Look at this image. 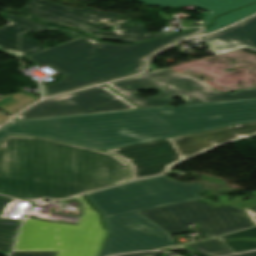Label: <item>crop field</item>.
<instances>
[{"label": "crop field", "instance_id": "7", "mask_svg": "<svg viewBox=\"0 0 256 256\" xmlns=\"http://www.w3.org/2000/svg\"><path fill=\"white\" fill-rule=\"evenodd\" d=\"M108 87L141 108L169 106L174 103L171 98L175 96L183 97L187 104L256 97V89L237 90L234 94L224 93L196 77L170 68L109 84ZM153 89H160L159 94L153 98L141 99L136 93Z\"/></svg>", "mask_w": 256, "mask_h": 256}, {"label": "crop field", "instance_id": "6", "mask_svg": "<svg viewBox=\"0 0 256 256\" xmlns=\"http://www.w3.org/2000/svg\"><path fill=\"white\" fill-rule=\"evenodd\" d=\"M72 199L81 201L85 205V211L78 225L27 218L21 227L13 251L59 250L56 256H98L106 237L99 215L83 196Z\"/></svg>", "mask_w": 256, "mask_h": 256}, {"label": "crop field", "instance_id": "11", "mask_svg": "<svg viewBox=\"0 0 256 256\" xmlns=\"http://www.w3.org/2000/svg\"><path fill=\"white\" fill-rule=\"evenodd\" d=\"M3 18L10 24L0 28V50L8 52L17 57L29 55L44 49H47L42 44L28 38L23 33L29 31H40L44 29H55L64 31L66 35L74 40L81 35H78L70 30L50 27L45 24L27 20L23 17L2 13Z\"/></svg>", "mask_w": 256, "mask_h": 256}, {"label": "crop field", "instance_id": "15", "mask_svg": "<svg viewBox=\"0 0 256 256\" xmlns=\"http://www.w3.org/2000/svg\"><path fill=\"white\" fill-rule=\"evenodd\" d=\"M15 200L0 195V254L7 256L13 246L22 220H13L4 215L10 210ZM3 221L14 222L13 226L2 225ZM9 224V223H7Z\"/></svg>", "mask_w": 256, "mask_h": 256}, {"label": "crop field", "instance_id": "4", "mask_svg": "<svg viewBox=\"0 0 256 256\" xmlns=\"http://www.w3.org/2000/svg\"><path fill=\"white\" fill-rule=\"evenodd\" d=\"M201 31L180 34L135 45H113L86 36L26 56L42 67L46 64L64 76L60 82L43 86L44 96H51L97 82L136 74L145 68V59L179 38Z\"/></svg>", "mask_w": 256, "mask_h": 256}, {"label": "crop field", "instance_id": "12", "mask_svg": "<svg viewBox=\"0 0 256 256\" xmlns=\"http://www.w3.org/2000/svg\"><path fill=\"white\" fill-rule=\"evenodd\" d=\"M202 38L216 55L243 47L256 50V16L219 34Z\"/></svg>", "mask_w": 256, "mask_h": 256}, {"label": "crop field", "instance_id": "1", "mask_svg": "<svg viewBox=\"0 0 256 256\" xmlns=\"http://www.w3.org/2000/svg\"><path fill=\"white\" fill-rule=\"evenodd\" d=\"M256 121V98L14 120L8 135L37 136L106 150Z\"/></svg>", "mask_w": 256, "mask_h": 256}, {"label": "crop field", "instance_id": "28", "mask_svg": "<svg viewBox=\"0 0 256 256\" xmlns=\"http://www.w3.org/2000/svg\"><path fill=\"white\" fill-rule=\"evenodd\" d=\"M100 256H104V255H100Z\"/></svg>", "mask_w": 256, "mask_h": 256}, {"label": "crop field", "instance_id": "13", "mask_svg": "<svg viewBox=\"0 0 256 256\" xmlns=\"http://www.w3.org/2000/svg\"><path fill=\"white\" fill-rule=\"evenodd\" d=\"M150 6H187L193 5L197 8L208 10L205 17V26L211 24L212 19L221 13L250 4L256 0H139Z\"/></svg>", "mask_w": 256, "mask_h": 256}, {"label": "crop field", "instance_id": "16", "mask_svg": "<svg viewBox=\"0 0 256 256\" xmlns=\"http://www.w3.org/2000/svg\"><path fill=\"white\" fill-rule=\"evenodd\" d=\"M235 252L256 249V227L218 237Z\"/></svg>", "mask_w": 256, "mask_h": 256}, {"label": "crop field", "instance_id": "14", "mask_svg": "<svg viewBox=\"0 0 256 256\" xmlns=\"http://www.w3.org/2000/svg\"><path fill=\"white\" fill-rule=\"evenodd\" d=\"M140 22L141 24L137 23ZM133 23L135 24L134 27L129 26L128 24ZM126 25V26H123ZM111 33H106L102 31L95 32L93 34H90L91 36L95 38H101V39H110V40H120V41H130V42H136L144 39L174 34V33H180V32H173V33H150L145 31V25L141 21H130L115 27H112ZM198 28H192V29H183L181 32L191 31ZM148 34V35H146Z\"/></svg>", "mask_w": 256, "mask_h": 256}, {"label": "crop field", "instance_id": "24", "mask_svg": "<svg viewBox=\"0 0 256 256\" xmlns=\"http://www.w3.org/2000/svg\"><path fill=\"white\" fill-rule=\"evenodd\" d=\"M183 27H188L191 26V21L190 20H185V21H181Z\"/></svg>", "mask_w": 256, "mask_h": 256}, {"label": "crop field", "instance_id": "23", "mask_svg": "<svg viewBox=\"0 0 256 256\" xmlns=\"http://www.w3.org/2000/svg\"><path fill=\"white\" fill-rule=\"evenodd\" d=\"M159 14L162 16V18H163L164 20L173 19L172 14H165V13H163L162 11L159 12Z\"/></svg>", "mask_w": 256, "mask_h": 256}, {"label": "crop field", "instance_id": "8", "mask_svg": "<svg viewBox=\"0 0 256 256\" xmlns=\"http://www.w3.org/2000/svg\"><path fill=\"white\" fill-rule=\"evenodd\" d=\"M140 213L171 234L189 232L185 225L198 222L205 239L252 226L238 208L210 207L199 200Z\"/></svg>", "mask_w": 256, "mask_h": 256}, {"label": "crop field", "instance_id": "10", "mask_svg": "<svg viewBox=\"0 0 256 256\" xmlns=\"http://www.w3.org/2000/svg\"><path fill=\"white\" fill-rule=\"evenodd\" d=\"M29 1V0H28ZM23 10L43 20L75 27L87 34L103 27H112L129 19L115 13H104L92 8L80 10L58 5L47 0H31Z\"/></svg>", "mask_w": 256, "mask_h": 256}, {"label": "crop field", "instance_id": "27", "mask_svg": "<svg viewBox=\"0 0 256 256\" xmlns=\"http://www.w3.org/2000/svg\"><path fill=\"white\" fill-rule=\"evenodd\" d=\"M211 143H213L214 145H218V144H216L214 141H210Z\"/></svg>", "mask_w": 256, "mask_h": 256}, {"label": "crop field", "instance_id": "2", "mask_svg": "<svg viewBox=\"0 0 256 256\" xmlns=\"http://www.w3.org/2000/svg\"><path fill=\"white\" fill-rule=\"evenodd\" d=\"M128 179V165L102 151L36 137H8L0 145L3 195L64 199Z\"/></svg>", "mask_w": 256, "mask_h": 256}, {"label": "crop field", "instance_id": "17", "mask_svg": "<svg viewBox=\"0 0 256 256\" xmlns=\"http://www.w3.org/2000/svg\"><path fill=\"white\" fill-rule=\"evenodd\" d=\"M36 100H38V98H36L32 94H24L23 92L19 91L1 100L0 109L9 114L10 116H12L21 108L27 106L28 104Z\"/></svg>", "mask_w": 256, "mask_h": 256}, {"label": "crop field", "instance_id": "25", "mask_svg": "<svg viewBox=\"0 0 256 256\" xmlns=\"http://www.w3.org/2000/svg\"><path fill=\"white\" fill-rule=\"evenodd\" d=\"M7 118H9V117L6 116L5 114H3L2 112H0V123L3 122L4 120H6Z\"/></svg>", "mask_w": 256, "mask_h": 256}, {"label": "crop field", "instance_id": "18", "mask_svg": "<svg viewBox=\"0 0 256 256\" xmlns=\"http://www.w3.org/2000/svg\"><path fill=\"white\" fill-rule=\"evenodd\" d=\"M188 246L202 256H219L234 253V251L217 238L200 243L188 244Z\"/></svg>", "mask_w": 256, "mask_h": 256}, {"label": "crop field", "instance_id": "21", "mask_svg": "<svg viewBox=\"0 0 256 256\" xmlns=\"http://www.w3.org/2000/svg\"><path fill=\"white\" fill-rule=\"evenodd\" d=\"M158 255H159V252H145V253L122 255V256H158ZM233 256H256V251L255 252L242 253V254L233 255Z\"/></svg>", "mask_w": 256, "mask_h": 256}, {"label": "crop field", "instance_id": "22", "mask_svg": "<svg viewBox=\"0 0 256 256\" xmlns=\"http://www.w3.org/2000/svg\"><path fill=\"white\" fill-rule=\"evenodd\" d=\"M245 210L247 214L250 216V218L252 219V221L254 222V224L256 225V206L246 208Z\"/></svg>", "mask_w": 256, "mask_h": 256}, {"label": "crop field", "instance_id": "19", "mask_svg": "<svg viewBox=\"0 0 256 256\" xmlns=\"http://www.w3.org/2000/svg\"><path fill=\"white\" fill-rule=\"evenodd\" d=\"M256 13V4L251 5L249 7L240 9L238 11L232 12L230 14L224 15L216 19L214 26L207 28L204 30V33L211 32L222 27H225L231 23H234L238 20H241L247 16Z\"/></svg>", "mask_w": 256, "mask_h": 256}, {"label": "crop field", "instance_id": "3", "mask_svg": "<svg viewBox=\"0 0 256 256\" xmlns=\"http://www.w3.org/2000/svg\"><path fill=\"white\" fill-rule=\"evenodd\" d=\"M200 189V184L175 182L165 175L87 194L102 211L109 232L101 254L174 245L171 234L138 211L201 199L196 194Z\"/></svg>", "mask_w": 256, "mask_h": 256}, {"label": "crop field", "instance_id": "26", "mask_svg": "<svg viewBox=\"0 0 256 256\" xmlns=\"http://www.w3.org/2000/svg\"><path fill=\"white\" fill-rule=\"evenodd\" d=\"M240 138L243 136H248V135H243V134H237Z\"/></svg>", "mask_w": 256, "mask_h": 256}, {"label": "crop field", "instance_id": "20", "mask_svg": "<svg viewBox=\"0 0 256 256\" xmlns=\"http://www.w3.org/2000/svg\"><path fill=\"white\" fill-rule=\"evenodd\" d=\"M57 252H13L11 256H55Z\"/></svg>", "mask_w": 256, "mask_h": 256}, {"label": "crop field", "instance_id": "9", "mask_svg": "<svg viewBox=\"0 0 256 256\" xmlns=\"http://www.w3.org/2000/svg\"><path fill=\"white\" fill-rule=\"evenodd\" d=\"M93 108V110H90ZM138 108L105 86L47 99L15 119Z\"/></svg>", "mask_w": 256, "mask_h": 256}, {"label": "crop field", "instance_id": "5", "mask_svg": "<svg viewBox=\"0 0 256 256\" xmlns=\"http://www.w3.org/2000/svg\"><path fill=\"white\" fill-rule=\"evenodd\" d=\"M236 133L256 134V122L106 150V152L118 156L130 165L132 176L130 180H135L163 174L173 163L213 147L210 140L221 144L238 139Z\"/></svg>", "mask_w": 256, "mask_h": 256}]
</instances>
